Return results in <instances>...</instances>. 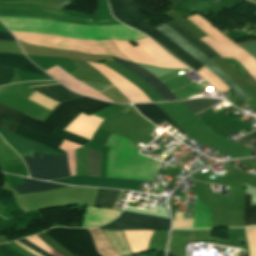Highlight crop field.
<instances>
[{
    "label": "crop field",
    "mask_w": 256,
    "mask_h": 256,
    "mask_svg": "<svg viewBox=\"0 0 256 256\" xmlns=\"http://www.w3.org/2000/svg\"><path fill=\"white\" fill-rule=\"evenodd\" d=\"M23 159L32 178L50 180L70 176L66 153L51 156L35 152Z\"/></svg>",
    "instance_id": "412701ff"
},
{
    "label": "crop field",
    "mask_w": 256,
    "mask_h": 256,
    "mask_svg": "<svg viewBox=\"0 0 256 256\" xmlns=\"http://www.w3.org/2000/svg\"><path fill=\"white\" fill-rule=\"evenodd\" d=\"M20 242H22L23 244L27 245L28 247H30L31 249L38 251L46 256H52L51 254L43 251L42 249H40L39 247L35 246L34 244H32L31 242L27 241L25 238L18 240Z\"/></svg>",
    "instance_id": "bd1437ed"
},
{
    "label": "crop field",
    "mask_w": 256,
    "mask_h": 256,
    "mask_svg": "<svg viewBox=\"0 0 256 256\" xmlns=\"http://www.w3.org/2000/svg\"><path fill=\"white\" fill-rule=\"evenodd\" d=\"M256 225V205L251 206V195L245 193L244 226Z\"/></svg>",
    "instance_id": "00972430"
},
{
    "label": "crop field",
    "mask_w": 256,
    "mask_h": 256,
    "mask_svg": "<svg viewBox=\"0 0 256 256\" xmlns=\"http://www.w3.org/2000/svg\"><path fill=\"white\" fill-rule=\"evenodd\" d=\"M14 133L21 137H24V138L30 139L32 141H35L37 143L48 146L61 154L65 153V151H62L58 148L64 139L75 142V143H79L82 145H85L88 142V140H86V139H83L79 136L68 133L59 128H56L52 132V134L50 136H48V135L30 130V129H27V128L17 124Z\"/></svg>",
    "instance_id": "d8731c3e"
},
{
    "label": "crop field",
    "mask_w": 256,
    "mask_h": 256,
    "mask_svg": "<svg viewBox=\"0 0 256 256\" xmlns=\"http://www.w3.org/2000/svg\"><path fill=\"white\" fill-rule=\"evenodd\" d=\"M167 256H174V255H172L170 252H168Z\"/></svg>",
    "instance_id": "5866460e"
},
{
    "label": "crop field",
    "mask_w": 256,
    "mask_h": 256,
    "mask_svg": "<svg viewBox=\"0 0 256 256\" xmlns=\"http://www.w3.org/2000/svg\"><path fill=\"white\" fill-rule=\"evenodd\" d=\"M100 152L88 148V175L99 176Z\"/></svg>",
    "instance_id": "a9b5d70f"
},
{
    "label": "crop field",
    "mask_w": 256,
    "mask_h": 256,
    "mask_svg": "<svg viewBox=\"0 0 256 256\" xmlns=\"http://www.w3.org/2000/svg\"><path fill=\"white\" fill-rule=\"evenodd\" d=\"M120 211L108 210V209H98L93 207H87L85 212L82 227H95L104 225L111 220H113Z\"/></svg>",
    "instance_id": "d1516ede"
},
{
    "label": "crop field",
    "mask_w": 256,
    "mask_h": 256,
    "mask_svg": "<svg viewBox=\"0 0 256 256\" xmlns=\"http://www.w3.org/2000/svg\"><path fill=\"white\" fill-rule=\"evenodd\" d=\"M208 69L220 77L230 90L244 103L252 99L240 87H238L231 79H229L219 68H217L211 61L205 64Z\"/></svg>",
    "instance_id": "bc2a9ffb"
},
{
    "label": "crop field",
    "mask_w": 256,
    "mask_h": 256,
    "mask_svg": "<svg viewBox=\"0 0 256 256\" xmlns=\"http://www.w3.org/2000/svg\"><path fill=\"white\" fill-rule=\"evenodd\" d=\"M101 230L120 256L132 254L122 231Z\"/></svg>",
    "instance_id": "4a817a6b"
},
{
    "label": "crop field",
    "mask_w": 256,
    "mask_h": 256,
    "mask_svg": "<svg viewBox=\"0 0 256 256\" xmlns=\"http://www.w3.org/2000/svg\"><path fill=\"white\" fill-rule=\"evenodd\" d=\"M0 64L47 76L37 67H35L25 56H22V55H17L12 53H0Z\"/></svg>",
    "instance_id": "22f410ed"
},
{
    "label": "crop field",
    "mask_w": 256,
    "mask_h": 256,
    "mask_svg": "<svg viewBox=\"0 0 256 256\" xmlns=\"http://www.w3.org/2000/svg\"><path fill=\"white\" fill-rule=\"evenodd\" d=\"M108 1L113 16H115L119 21L148 34L149 36L153 37L154 39L165 45L180 59L190 64L195 72L203 66L191 56H189L187 53H185L181 48H179L177 45L167 39L162 33L158 32L151 25L141 19L136 7L128 0Z\"/></svg>",
    "instance_id": "34b2d1b8"
},
{
    "label": "crop field",
    "mask_w": 256,
    "mask_h": 256,
    "mask_svg": "<svg viewBox=\"0 0 256 256\" xmlns=\"http://www.w3.org/2000/svg\"><path fill=\"white\" fill-rule=\"evenodd\" d=\"M138 110H139V112L142 114V115H144L145 117H147L149 120H151L153 123H155V124H160L161 122H163V121H168L170 124H172L174 127H176V128H174L172 125H170L168 122H166L169 126H171V127H173L174 129H176L178 132H180L182 135H184L185 133L182 131V130H180L179 129V127L172 121V120H170L167 116H166V114L162 111V110H160L158 107H156L154 104H133ZM165 122H163V123H165ZM162 123V124H163ZM162 124H160V125H162ZM159 125V126H160Z\"/></svg>",
    "instance_id": "5142ce71"
},
{
    "label": "crop field",
    "mask_w": 256,
    "mask_h": 256,
    "mask_svg": "<svg viewBox=\"0 0 256 256\" xmlns=\"http://www.w3.org/2000/svg\"><path fill=\"white\" fill-rule=\"evenodd\" d=\"M0 134L5 139V141L9 145H11L22 157L29 155L35 151H37L39 153H44V154L59 155V153H57L49 148H46V147H44L40 144H37L35 142H32L30 140H26L19 136H16L13 133H11L3 128H0Z\"/></svg>",
    "instance_id": "5a996713"
},
{
    "label": "crop field",
    "mask_w": 256,
    "mask_h": 256,
    "mask_svg": "<svg viewBox=\"0 0 256 256\" xmlns=\"http://www.w3.org/2000/svg\"><path fill=\"white\" fill-rule=\"evenodd\" d=\"M246 81H248L254 88H256V81L254 78L245 70V68L238 63L236 60L231 58H224Z\"/></svg>",
    "instance_id": "4177f3b9"
},
{
    "label": "crop field",
    "mask_w": 256,
    "mask_h": 256,
    "mask_svg": "<svg viewBox=\"0 0 256 256\" xmlns=\"http://www.w3.org/2000/svg\"><path fill=\"white\" fill-rule=\"evenodd\" d=\"M14 77V69L0 66V86L9 84Z\"/></svg>",
    "instance_id": "eef30255"
},
{
    "label": "crop field",
    "mask_w": 256,
    "mask_h": 256,
    "mask_svg": "<svg viewBox=\"0 0 256 256\" xmlns=\"http://www.w3.org/2000/svg\"><path fill=\"white\" fill-rule=\"evenodd\" d=\"M0 40H14V38L12 37L11 34L1 33L0 32Z\"/></svg>",
    "instance_id": "120bbe31"
},
{
    "label": "crop field",
    "mask_w": 256,
    "mask_h": 256,
    "mask_svg": "<svg viewBox=\"0 0 256 256\" xmlns=\"http://www.w3.org/2000/svg\"><path fill=\"white\" fill-rule=\"evenodd\" d=\"M239 46H241L243 49L249 52L254 58H256V40L239 44Z\"/></svg>",
    "instance_id": "d3111659"
},
{
    "label": "crop field",
    "mask_w": 256,
    "mask_h": 256,
    "mask_svg": "<svg viewBox=\"0 0 256 256\" xmlns=\"http://www.w3.org/2000/svg\"><path fill=\"white\" fill-rule=\"evenodd\" d=\"M23 179L26 184L13 187L19 194L42 192V191H48V190L58 189L62 187H67L64 185L40 182V181H35V180H30L25 178Z\"/></svg>",
    "instance_id": "733c2abd"
},
{
    "label": "crop field",
    "mask_w": 256,
    "mask_h": 256,
    "mask_svg": "<svg viewBox=\"0 0 256 256\" xmlns=\"http://www.w3.org/2000/svg\"><path fill=\"white\" fill-rule=\"evenodd\" d=\"M102 119L98 117H86L80 115L74 122H72L66 129L87 138H90L93 131L98 127Z\"/></svg>",
    "instance_id": "cbeb9de0"
},
{
    "label": "crop field",
    "mask_w": 256,
    "mask_h": 256,
    "mask_svg": "<svg viewBox=\"0 0 256 256\" xmlns=\"http://www.w3.org/2000/svg\"><path fill=\"white\" fill-rule=\"evenodd\" d=\"M167 24L170 27H172L178 34H180L184 39H186L191 44H193L195 47H197L200 51H202L209 58H212V57L218 55L210 47H208L206 44H204L203 42L198 40L196 37H194L192 34H190L187 30H185L183 27H181L175 21H170Z\"/></svg>",
    "instance_id": "d9b57169"
},
{
    "label": "crop field",
    "mask_w": 256,
    "mask_h": 256,
    "mask_svg": "<svg viewBox=\"0 0 256 256\" xmlns=\"http://www.w3.org/2000/svg\"><path fill=\"white\" fill-rule=\"evenodd\" d=\"M169 223L170 219L167 218L139 215L123 211L117 219L100 228L168 230Z\"/></svg>",
    "instance_id": "dd49c442"
},
{
    "label": "crop field",
    "mask_w": 256,
    "mask_h": 256,
    "mask_svg": "<svg viewBox=\"0 0 256 256\" xmlns=\"http://www.w3.org/2000/svg\"><path fill=\"white\" fill-rule=\"evenodd\" d=\"M158 31L162 32L167 38L181 47L193 58L198 60L203 65L209 60L205 55H203L197 48L191 45L189 42L184 40L180 35H178L172 28L167 24L155 27Z\"/></svg>",
    "instance_id": "28ad6ade"
},
{
    "label": "crop field",
    "mask_w": 256,
    "mask_h": 256,
    "mask_svg": "<svg viewBox=\"0 0 256 256\" xmlns=\"http://www.w3.org/2000/svg\"><path fill=\"white\" fill-rule=\"evenodd\" d=\"M118 192L117 190L99 189L94 205L112 209Z\"/></svg>",
    "instance_id": "92a150f3"
},
{
    "label": "crop field",
    "mask_w": 256,
    "mask_h": 256,
    "mask_svg": "<svg viewBox=\"0 0 256 256\" xmlns=\"http://www.w3.org/2000/svg\"><path fill=\"white\" fill-rule=\"evenodd\" d=\"M233 142L241 144L248 148L256 149V131H254L248 135H245Z\"/></svg>",
    "instance_id": "730fd06b"
},
{
    "label": "crop field",
    "mask_w": 256,
    "mask_h": 256,
    "mask_svg": "<svg viewBox=\"0 0 256 256\" xmlns=\"http://www.w3.org/2000/svg\"><path fill=\"white\" fill-rule=\"evenodd\" d=\"M55 85V84H53ZM45 86V85H43ZM35 87V86H33ZM49 98L53 100H57L59 102H62L67 99L79 97L80 95H76L68 91L66 88H64L61 85H55V86H45V87H35L32 88ZM24 114L12 109L10 107L4 106L0 104V126L10 130L13 132L14 127L16 123L19 121V119L23 116Z\"/></svg>",
    "instance_id": "e52e79f7"
},
{
    "label": "crop field",
    "mask_w": 256,
    "mask_h": 256,
    "mask_svg": "<svg viewBox=\"0 0 256 256\" xmlns=\"http://www.w3.org/2000/svg\"><path fill=\"white\" fill-rule=\"evenodd\" d=\"M45 233L75 256H101L97 252L93 238L87 229L56 227L45 231Z\"/></svg>",
    "instance_id": "f4fd0767"
},
{
    "label": "crop field",
    "mask_w": 256,
    "mask_h": 256,
    "mask_svg": "<svg viewBox=\"0 0 256 256\" xmlns=\"http://www.w3.org/2000/svg\"><path fill=\"white\" fill-rule=\"evenodd\" d=\"M221 101L213 99H195L191 101L182 102L186 107H188L194 114L211 107Z\"/></svg>",
    "instance_id": "dafd665d"
},
{
    "label": "crop field",
    "mask_w": 256,
    "mask_h": 256,
    "mask_svg": "<svg viewBox=\"0 0 256 256\" xmlns=\"http://www.w3.org/2000/svg\"><path fill=\"white\" fill-rule=\"evenodd\" d=\"M108 105L110 104L83 97L61 103L44 123L24 115L18 124L50 135L56 127L63 129L80 112L90 115Z\"/></svg>",
    "instance_id": "ac0d7876"
},
{
    "label": "crop field",
    "mask_w": 256,
    "mask_h": 256,
    "mask_svg": "<svg viewBox=\"0 0 256 256\" xmlns=\"http://www.w3.org/2000/svg\"><path fill=\"white\" fill-rule=\"evenodd\" d=\"M8 29L15 32L69 38L119 39L137 41L143 34L123 24L86 26L38 18L0 17Z\"/></svg>",
    "instance_id": "8a807250"
},
{
    "label": "crop field",
    "mask_w": 256,
    "mask_h": 256,
    "mask_svg": "<svg viewBox=\"0 0 256 256\" xmlns=\"http://www.w3.org/2000/svg\"><path fill=\"white\" fill-rule=\"evenodd\" d=\"M28 240L32 241L33 243L37 244L42 249L46 250L47 252L53 254L54 256H61L58 253H56L54 250H52L50 247H48L42 240H40L36 235L26 237Z\"/></svg>",
    "instance_id": "ae1a2a85"
},
{
    "label": "crop field",
    "mask_w": 256,
    "mask_h": 256,
    "mask_svg": "<svg viewBox=\"0 0 256 256\" xmlns=\"http://www.w3.org/2000/svg\"><path fill=\"white\" fill-rule=\"evenodd\" d=\"M0 251L5 254L6 256H13L12 254H10L8 251H6L2 246H0Z\"/></svg>",
    "instance_id": "d32e631a"
},
{
    "label": "crop field",
    "mask_w": 256,
    "mask_h": 256,
    "mask_svg": "<svg viewBox=\"0 0 256 256\" xmlns=\"http://www.w3.org/2000/svg\"><path fill=\"white\" fill-rule=\"evenodd\" d=\"M89 231L91 232L94 238L95 245L97 247L98 252L102 256H118L117 253L112 248V246L110 245V243L105 238V236L102 234L100 229L93 228V229H89Z\"/></svg>",
    "instance_id": "214f88e0"
},
{
    "label": "crop field",
    "mask_w": 256,
    "mask_h": 256,
    "mask_svg": "<svg viewBox=\"0 0 256 256\" xmlns=\"http://www.w3.org/2000/svg\"><path fill=\"white\" fill-rule=\"evenodd\" d=\"M14 243L17 244L18 246H20L21 248H23L24 250H26V251H28V252H30V253L36 255V256H42V255L38 254L37 252H35V251L29 249L28 247H26L25 245H23L22 243H20V242H18V241H14Z\"/></svg>",
    "instance_id": "1d83c4d3"
},
{
    "label": "crop field",
    "mask_w": 256,
    "mask_h": 256,
    "mask_svg": "<svg viewBox=\"0 0 256 256\" xmlns=\"http://www.w3.org/2000/svg\"><path fill=\"white\" fill-rule=\"evenodd\" d=\"M114 61L126 66L128 69H130L132 72L137 74L139 77L144 79L146 82H148L154 89H156L162 96H164L168 101L178 100L171 91L167 89L165 85L160 83L152 74L148 73L147 71L143 70L139 66L135 64H131L128 62H125L120 59L113 58ZM163 97V98H164ZM164 98V99H165Z\"/></svg>",
    "instance_id": "3316defc"
},
{
    "label": "crop field",
    "mask_w": 256,
    "mask_h": 256,
    "mask_svg": "<svg viewBox=\"0 0 256 256\" xmlns=\"http://www.w3.org/2000/svg\"><path fill=\"white\" fill-rule=\"evenodd\" d=\"M82 82L85 83L86 85H88L89 87L93 88L94 90H96L99 93L113 87V85L108 86V85H104V84H100V83H93V82H86V81H82Z\"/></svg>",
    "instance_id": "750c4746"
}]
</instances>
